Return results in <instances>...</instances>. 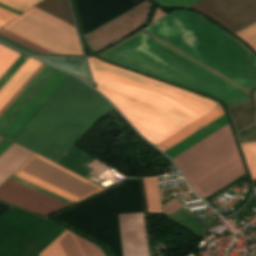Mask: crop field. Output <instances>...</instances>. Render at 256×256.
I'll return each mask as SVG.
<instances>
[{
  "label": "crop field",
  "instance_id": "obj_1",
  "mask_svg": "<svg viewBox=\"0 0 256 256\" xmlns=\"http://www.w3.org/2000/svg\"><path fill=\"white\" fill-rule=\"evenodd\" d=\"M198 15L176 10L143 29L254 88L256 57L242 43ZM144 34L102 57L216 97L228 107L247 100L246 90Z\"/></svg>",
  "mask_w": 256,
  "mask_h": 256
},
{
  "label": "crop field",
  "instance_id": "obj_2",
  "mask_svg": "<svg viewBox=\"0 0 256 256\" xmlns=\"http://www.w3.org/2000/svg\"><path fill=\"white\" fill-rule=\"evenodd\" d=\"M96 88L155 145L219 104L95 58H87Z\"/></svg>",
  "mask_w": 256,
  "mask_h": 256
},
{
  "label": "crop field",
  "instance_id": "obj_3",
  "mask_svg": "<svg viewBox=\"0 0 256 256\" xmlns=\"http://www.w3.org/2000/svg\"><path fill=\"white\" fill-rule=\"evenodd\" d=\"M112 109L99 93L69 76L12 141L55 161Z\"/></svg>",
  "mask_w": 256,
  "mask_h": 256
},
{
  "label": "crop field",
  "instance_id": "obj_4",
  "mask_svg": "<svg viewBox=\"0 0 256 256\" xmlns=\"http://www.w3.org/2000/svg\"><path fill=\"white\" fill-rule=\"evenodd\" d=\"M173 160L203 199L245 173L229 125Z\"/></svg>",
  "mask_w": 256,
  "mask_h": 256
},
{
  "label": "crop field",
  "instance_id": "obj_5",
  "mask_svg": "<svg viewBox=\"0 0 256 256\" xmlns=\"http://www.w3.org/2000/svg\"><path fill=\"white\" fill-rule=\"evenodd\" d=\"M64 230L11 207L0 217V256H37Z\"/></svg>",
  "mask_w": 256,
  "mask_h": 256
},
{
  "label": "crop field",
  "instance_id": "obj_6",
  "mask_svg": "<svg viewBox=\"0 0 256 256\" xmlns=\"http://www.w3.org/2000/svg\"><path fill=\"white\" fill-rule=\"evenodd\" d=\"M3 29L54 54L83 55L75 26L35 7Z\"/></svg>",
  "mask_w": 256,
  "mask_h": 256
},
{
  "label": "crop field",
  "instance_id": "obj_7",
  "mask_svg": "<svg viewBox=\"0 0 256 256\" xmlns=\"http://www.w3.org/2000/svg\"><path fill=\"white\" fill-rule=\"evenodd\" d=\"M19 172L82 200L102 188L35 155Z\"/></svg>",
  "mask_w": 256,
  "mask_h": 256
},
{
  "label": "crop field",
  "instance_id": "obj_8",
  "mask_svg": "<svg viewBox=\"0 0 256 256\" xmlns=\"http://www.w3.org/2000/svg\"><path fill=\"white\" fill-rule=\"evenodd\" d=\"M153 5L147 0L136 8L86 35L85 39L89 47L97 53L146 25V19Z\"/></svg>",
  "mask_w": 256,
  "mask_h": 256
},
{
  "label": "crop field",
  "instance_id": "obj_9",
  "mask_svg": "<svg viewBox=\"0 0 256 256\" xmlns=\"http://www.w3.org/2000/svg\"><path fill=\"white\" fill-rule=\"evenodd\" d=\"M190 8L207 14L234 33L256 21V0H202Z\"/></svg>",
  "mask_w": 256,
  "mask_h": 256
},
{
  "label": "crop field",
  "instance_id": "obj_10",
  "mask_svg": "<svg viewBox=\"0 0 256 256\" xmlns=\"http://www.w3.org/2000/svg\"><path fill=\"white\" fill-rule=\"evenodd\" d=\"M0 201L44 216L69 205L11 179L0 188Z\"/></svg>",
  "mask_w": 256,
  "mask_h": 256
},
{
  "label": "crop field",
  "instance_id": "obj_11",
  "mask_svg": "<svg viewBox=\"0 0 256 256\" xmlns=\"http://www.w3.org/2000/svg\"><path fill=\"white\" fill-rule=\"evenodd\" d=\"M125 256H150L144 213L119 214Z\"/></svg>",
  "mask_w": 256,
  "mask_h": 256
},
{
  "label": "crop field",
  "instance_id": "obj_12",
  "mask_svg": "<svg viewBox=\"0 0 256 256\" xmlns=\"http://www.w3.org/2000/svg\"><path fill=\"white\" fill-rule=\"evenodd\" d=\"M97 248L65 230L38 256H104Z\"/></svg>",
  "mask_w": 256,
  "mask_h": 256
},
{
  "label": "crop field",
  "instance_id": "obj_13",
  "mask_svg": "<svg viewBox=\"0 0 256 256\" xmlns=\"http://www.w3.org/2000/svg\"><path fill=\"white\" fill-rule=\"evenodd\" d=\"M42 62L29 57L9 81L0 89V110L22 87Z\"/></svg>",
  "mask_w": 256,
  "mask_h": 256
},
{
  "label": "crop field",
  "instance_id": "obj_14",
  "mask_svg": "<svg viewBox=\"0 0 256 256\" xmlns=\"http://www.w3.org/2000/svg\"><path fill=\"white\" fill-rule=\"evenodd\" d=\"M33 155V152L13 143L0 156V186Z\"/></svg>",
  "mask_w": 256,
  "mask_h": 256
},
{
  "label": "crop field",
  "instance_id": "obj_15",
  "mask_svg": "<svg viewBox=\"0 0 256 256\" xmlns=\"http://www.w3.org/2000/svg\"><path fill=\"white\" fill-rule=\"evenodd\" d=\"M64 73L56 71L53 76L43 85V87L33 96V98L23 107V109L13 118V120L3 129L0 136L8 138L10 134L19 126L35 106L44 98L52 87L61 79Z\"/></svg>",
  "mask_w": 256,
  "mask_h": 256
},
{
  "label": "crop field",
  "instance_id": "obj_16",
  "mask_svg": "<svg viewBox=\"0 0 256 256\" xmlns=\"http://www.w3.org/2000/svg\"><path fill=\"white\" fill-rule=\"evenodd\" d=\"M223 114L225 113L219 106L156 146L164 152Z\"/></svg>",
  "mask_w": 256,
  "mask_h": 256
},
{
  "label": "crop field",
  "instance_id": "obj_17",
  "mask_svg": "<svg viewBox=\"0 0 256 256\" xmlns=\"http://www.w3.org/2000/svg\"><path fill=\"white\" fill-rule=\"evenodd\" d=\"M228 124L226 115H223L222 117L218 118L214 122L210 123L206 127L202 128L195 134L191 135L187 139L183 140L179 144L175 145L171 149L167 150L166 153L171 159L174 158L175 156L179 155L183 151L187 150L194 144L198 143L202 139L206 138L213 132L217 131L221 127L225 126Z\"/></svg>",
  "mask_w": 256,
  "mask_h": 256
},
{
  "label": "crop field",
  "instance_id": "obj_18",
  "mask_svg": "<svg viewBox=\"0 0 256 256\" xmlns=\"http://www.w3.org/2000/svg\"><path fill=\"white\" fill-rule=\"evenodd\" d=\"M35 7L74 24L68 0H43Z\"/></svg>",
  "mask_w": 256,
  "mask_h": 256
},
{
  "label": "crop field",
  "instance_id": "obj_19",
  "mask_svg": "<svg viewBox=\"0 0 256 256\" xmlns=\"http://www.w3.org/2000/svg\"><path fill=\"white\" fill-rule=\"evenodd\" d=\"M148 213H162L156 178L143 179Z\"/></svg>",
  "mask_w": 256,
  "mask_h": 256
},
{
  "label": "crop field",
  "instance_id": "obj_20",
  "mask_svg": "<svg viewBox=\"0 0 256 256\" xmlns=\"http://www.w3.org/2000/svg\"><path fill=\"white\" fill-rule=\"evenodd\" d=\"M52 67L46 66L43 71L33 80V82L23 91V93L13 102V104L0 117V125L14 111V109L22 102V100L31 92V90L39 83V81L48 73Z\"/></svg>",
  "mask_w": 256,
  "mask_h": 256
},
{
  "label": "crop field",
  "instance_id": "obj_21",
  "mask_svg": "<svg viewBox=\"0 0 256 256\" xmlns=\"http://www.w3.org/2000/svg\"><path fill=\"white\" fill-rule=\"evenodd\" d=\"M20 54L0 45V77L17 60Z\"/></svg>",
  "mask_w": 256,
  "mask_h": 256
},
{
  "label": "crop field",
  "instance_id": "obj_22",
  "mask_svg": "<svg viewBox=\"0 0 256 256\" xmlns=\"http://www.w3.org/2000/svg\"><path fill=\"white\" fill-rule=\"evenodd\" d=\"M241 146L254 181L256 180V143L244 144Z\"/></svg>",
  "mask_w": 256,
  "mask_h": 256
},
{
  "label": "crop field",
  "instance_id": "obj_23",
  "mask_svg": "<svg viewBox=\"0 0 256 256\" xmlns=\"http://www.w3.org/2000/svg\"><path fill=\"white\" fill-rule=\"evenodd\" d=\"M69 75L65 74L62 79L53 87V89L45 96V98L37 105V107L28 115V117L20 124V126L8 138L11 140L15 134L25 125V123L35 114V112L44 104V102L54 93V91L64 82ZM17 135V134H16Z\"/></svg>",
  "mask_w": 256,
  "mask_h": 256
},
{
  "label": "crop field",
  "instance_id": "obj_24",
  "mask_svg": "<svg viewBox=\"0 0 256 256\" xmlns=\"http://www.w3.org/2000/svg\"><path fill=\"white\" fill-rule=\"evenodd\" d=\"M236 35L247 42L251 47L256 45V22L237 32Z\"/></svg>",
  "mask_w": 256,
  "mask_h": 256
},
{
  "label": "crop field",
  "instance_id": "obj_25",
  "mask_svg": "<svg viewBox=\"0 0 256 256\" xmlns=\"http://www.w3.org/2000/svg\"><path fill=\"white\" fill-rule=\"evenodd\" d=\"M15 176H17V177H19V178H21V179H24V180H26V181H28V182H30V183H33V184H35V185H37V186H39V187H42V188H44V189H46V190H49V191H51V192H53V193H55V194H58V195H60V196H62V197H64V198H67V199H69V200H71V201H73V202L79 201V200H77V199H75V198H73V197H71V196H69V195H66V194H64V193H62V192H60V191H58V190H56V189H53V188H51V187H49V186H47V185H45V184H42V183H40V182H38V181H36V180H34V179H32V178H29V177H27V176H25V175L19 173V172H17V173L15 174Z\"/></svg>",
  "mask_w": 256,
  "mask_h": 256
},
{
  "label": "crop field",
  "instance_id": "obj_26",
  "mask_svg": "<svg viewBox=\"0 0 256 256\" xmlns=\"http://www.w3.org/2000/svg\"><path fill=\"white\" fill-rule=\"evenodd\" d=\"M162 6L188 8L200 0H156Z\"/></svg>",
  "mask_w": 256,
  "mask_h": 256
},
{
  "label": "crop field",
  "instance_id": "obj_27",
  "mask_svg": "<svg viewBox=\"0 0 256 256\" xmlns=\"http://www.w3.org/2000/svg\"><path fill=\"white\" fill-rule=\"evenodd\" d=\"M27 57L21 55L18 60L9 68V70L0 79V88L15 73V71L24 63Z\"/></svg>",
  "mask_w": 256,
  "mask_h": 256
},
{
  "label": "crop field",
  "instance_id": "obj_28",
  "mask_svg": "<svg viewBox=\"0 0 256 256\" xmlns=\"http://www.w3.org/2000/svg\"><path fill=\"white\" fill-rule=\"evenodd\" d=\"M0 34L3 35V36H5V37H8V38H10V39H12V40H14V41H16V42H18V43H21V44H23V45H25V46H27V47H29V48H31V49H33V50L39 52V53H48V54H52V53H50V52H48V51H46V50H44V49H42V48H40V47H38V46H35V45H33V44H31V43H29V42H27V41H25V40H23V39H21V38H18V37H16V36H14V35H12V34L6 32V31H4V30H2V29L0 30Z\"/></svg>",
  "mask_w": 256,
  "mask_h": 256
},
{
  "label": "crop field",
  "instance_id": "obj_29",
  "mask_svg": "<svg viewBox=\"0 0 256 256\" xmlns=\"http://www.w3.org/2000/svg\"><path fill=\"white\" fill-rule=\"evenodd\" d=\"M0 3L7 5L11 8H14L16 10H19L21 12L25 11L26 9L33 5L24 0H0Z\"/></svg>",
  "mask_w": 256,
  "mask_h": 256
},
{
  "label": "crop field",
  "instance_id": "obj_30",
  "mask_svg": "<svg viewBox=\"0 0 256 256\" xmlns=\"http://www.w3.org/2000/svg\"><path fill=\"white\" fill-rule=\"evenodd\" d=\"M45 66H46V64H44V63L40 66V68L31 76V78L23 85V87L14 95V97L0 111V116L12 104V102L22 93V91L32 82V80L42 71V69Z\"/></svg>",
  "mask_w": 256,
  "mask_h": 256
},
{
  "label": "crop field",
  "instance_id": "obj_31",
  "mask_svg": "<svg viewBox=\"0 0 256 256\" xmlns=\"http://www.w3.org/2000/svg\"><path fill=\"white\" fill-rule=\"evenodd\" d=\"M184 206L179 199L176 197L172 199L171 201L167 202L166 204L163 205V212L168 216L174 211L178 210Z\"/></svg>",
  "mask_w": 256,
  "mask_h": 256
},
{
  "label": "crop field",
  "instance_id": "obj_32",
  "mask_svg": "<svg viewBox=\"0 0 256 256\" xmlns=\"http://www.w3.org/2000/svg\"><path fill=\"white\" fill-rule=\"evenodd\" d=\"M11 179H13V180H15V181H18V182H20V183H22V184H25V185H27V186H29V187H32V188H34V189H36V190H39V191H41V192H44V193H46V194H48V195H51V196H53V197H55V198H58V199H60V200H62V201H65V202L68 201L67 199H64V198H62V197H60V196H58V195H55V194H53V193H51V192H49V191H46V190H44V189H42V188H39V187H37V186H35V185H33V184H30V183H28V182H26V181H24V180H21V179L15 177V176L11 177ZM67 203H69V202H67ZM69 204H71V203H69Z\"/></svg>",
  "mask_w": 256,
  "mask_h": 256
},
{
  "label": "crop field",
  "instance_id": "obj_33",
  "mask_svg": "<svg viewBox=\"0 0 256 256\" xmlns=\"http://www.w3.org/2000/svg\"><path fill=\"white\" fill-rule=\"evenodd\" d=\"M17 16L18 15L13 14L9 11H6V10L0 8V19L1 20H4V21L8 22V21L14 19Z\"/></svg>",
  "mask_w": 256,
  "mask_h": 256
},
{
  "label": "crop field",
  "instance_id": "obj_34",
  "mask_svg": "<svg viewBox=\"0 0 256 256\" xmlns=\"http://www.w3.org/2000/svg\"><path fill=\"white\" fill-rule=\"evenodd\" d=\"M0 40L4 41V42H6V43H9V44H11V45H13V46H15V47H17V48H19V49L25 51V52H27V51L29 50V48L24 47V46H22V45H20V44H18V43H16V42H14V41H12V40H9V39H7V38L1 36V35H0Z\"/></svg>",
  "mask_w": 256,
  "mask_h": 256
},
{
  "label": "crop field",
  "instance_id": "obj_35",
  "mask_svg": "<svg viewBox=\"0 0 256 256\" xmlns=\"http://www.w3.org/2000/svg\"><path fill=\"white\" fill-rule=\"evenodd\" d=\"M12 144V142H9L5 139H3L0 142V155Z\"/></svg>",
  "mask_w": 256,
  "mask_h": 256
},
{
  "label": "crop field",
  "instance_id": "obj_36",
  "mask_svg": "<svg viewBox=\"0 0 256 256\" xmlns=\"http://www.w3.org/2000/svg\"><path fill=\"white\" fill-rule=\"evenodd\" d=\"M254 100H256V92L254 94ZM254 104H255V108H256V101H254Z\"/></svg>",
  "mask_w": 256,
  "mask_h": 256
},
{
  "label": "crop field",
  "instance_id": "obj_37",
  "mask_svg": "<svg viewBox=\"0 0 256 256\" xmlns=\"http://www.w3.org/2000/svg\"><path fill=\"white\" fill-rule=\"evenodd\" d=\"M6 22L0 20V27L4 25Z\"/></svg>",
  "mask_w": 256,
  "mask_h": 256
},
{
  "label": "crop field",
  "instance_id": "obj_38",
  "mask_svg": "<svg viewBox=\"0 0 256 256\" xmlns=\"http://www.w3.org/2000/svg\"><path fill=\"white\" fill-rule=\"evenodd\" d=\"M26 1L31 2V3H33V4H35V3H36V2H34V1H32V0H26Z\"/></svg>",
  "mask_w": 256,
  "mask_h": 256
},
{
  "label": "crop field",
  "instance_id": "obj_39",
  "mask_svg": "<svg viewBox=\"0 0 256 256\" xmlns=\"http://www.w3.org/2000/svg\"><path fill=\"white\" fill-rule=\"evenodd\" d=\"M254 50H256V46L252 47Z\"/></svg>",
  "mask_w": 256,
  "mask_h": 256
},
{
  "label": "crop field",
  "instance_id": "obj_40",
  "mask_svg": "<svg viewBox=\"0 0 256 256\" xmlns=\"http://www.w3.org/2000/svg\"><path fill=\"white\" fill-rule=\"evenodd\" d=\"M34 1L38 2V1H40V0H34Z\"/></svg>",
  "mask_w": 256,
  "mask_h": 256
},
{
  "label": "crop field",
  "instance_id": "obj_41",
  "mask_svg": "<svg viewBox=\"0 0 256 256\" xmlns=\"http://www.w3.org/2000/svg\"><path fill=\"white\" fill-rule=\"evenodd\" d=\"M2 140V138H0V141Z\"/></svg>",
  "mask_w": 256,
  "mask_h": 256
}]
</instances>
